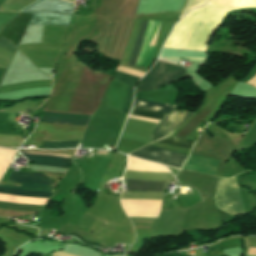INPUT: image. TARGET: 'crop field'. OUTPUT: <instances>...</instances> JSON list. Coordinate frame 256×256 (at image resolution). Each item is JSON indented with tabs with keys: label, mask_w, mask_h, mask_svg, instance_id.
<instances>
[{
	"label": "crop field",
	"mask_w": 256,
	"mask_h": 256,
	"mask_svg": "<svg viewBox=\"0 0 256 256\" xmlns=\"http://www.w3.org/2000/svg\"><path fill=\"white\" fill-rule=\"evenodd\" d=\"M229 9L216 5L189 12L174 27L164 48L206 51L207 43Z\"/></svg>",
	"instance_id": "8a807250"
},
{
	"label": "crop field",
	"mask_w": 256,
	"mask_h": 256,
	"mask_svg": "<svg viewBox=\"0 0 256 256\" xmlns=\"http://www.w3.org/2000/svg\"><path fill=\"white\" fill-rule=\"evenodd\" d=\"M9 181L18 182V183H21V185L20 187H15V186H7V185L0 184V188H8V189H16V190H24V191H32V192H40V193H48V194H52L55 188L51 180L48 179L45 174L11 172L9 176ZM0 193L45 198V199H49L51 196L47 194H39V193H31V192H23V191H15V190H7V189H0ZM0 200L19 202V203L39 204V205H45L47 202V200H44V199H36V198H28V197H20V196H12V195H4V194H0ZM2 201H0V208H3V209L40 212L43 208V206L2 202Z\"/></svg>",
	"instance_id": "ac0d7876"
},
{
	"label": "crop field",
	"mask_w": 256,
	"mask_h": 256,
	"mask_svg": "<svg viewBox=\"0 0 256 256\" xmlns=\"http://www.w3.org/2000/svg\"><path fill=\"white\" fill-rule=\"evenodd\" d=\"M189 77L179 64L157 60L153 68L140 80L136 92L161 89L167 84Z\"/></svg>",
	"instance_id": "34b2d1b8"
},
{
	"label": "crop field",
	"mask_w": 256,
	"mask_h": 256,
	"mask_svg": "<svg viewBox=\"0 0 256 256\" xmlns=\"http://www.w3.org/2000/svg\"><path fill=\"white\" fill-rule=\"evenodd\" d=\"M127 170L170 172L159 164L128 156ZM129 190L164 192L169 181L125 178Z\"/></svg>",
	"instance_id": "412701ff"
},
{
	"label": "crop field",
	"mask_w": 256,
	"mask_h": 256,
	"mask_svg": "<svg viewBox=\"0 0 256 256\" xmlns=\"http://www.w3.org/2000/svg\"><path fill=\"white\" fill-rule=\"evenodd\" d=\"M135 157L155 161L164 165L180 169L184 164L187 155L175 153L161 148L146 145L145 147L131 153Z\"/></svg>",
	"instance_id": "f4fd0767"
},
{
	"label": "crop field",
	"mask_w": 256,
	"mask_h": 256,
	"mask_svg": "<svg viewBox=\"0 0 256 256\" xmlns=\"http://www.w3.org/2000/svg\"><path fill=\"white\" fill-rule=\"evenodd\" d=\"M133 107L150 110V111H155V112H160V113H165V114H169L175 108L174 106L163 105V104L142 101V100H137V99H135ZM135 108L132 109V112L130 115L147 118V119H152V120H157V121H160L164 117L167 116L165 114H160V113H155V112H150V111H145V110H140V109H135ZM132 116H129L128 118L158 124L157 121H152V120H147V119H142V118H137V117H132Z\"/></svg>",
	"instance_id": "dd49c442"
},
{
	"label": "crop field",
	"mask_w": 256,
	"mask_h": 256,
	"mask_svg": "<svg viewBox=\"0 0 256 256\" xmlns=\"http://www.w3.org/2000/svg\"><path fill=\"white\" fill-rule=\"evenodd\" d=\"M162 198L121 196L125 212L159 213Z\"/></svg>",
	"instance_id": "e52e79f7"
},
{
	"label": "crop field",
	"mask_w": 256,
	"mask_h": 256,
	"mask_svg": "<svg viewBox=\"0 0 256 256\" xmlns=\"http://www.w3.org/2000/svg\"><path fill=\"white\" fill-rule=\"evenodd\" d=\"M191 113L186 110H174L155 128L152 134V142L172 134L178 126H180L190 115H192Z\"/></svg>",
	"instance_id": "d8731c3e"
},
{
	"label": "crop field",
	"mask_w": 256,
	"mask_h": 256,
	"mask_svg": "<svg viewBox=\"0 0 256 256\" xmlns=\"http://www.w3.org/2000/svg\"><path fill=\"white\" fill-rule=\"evenodd\" d=\"M21 154L26 155H47V156H57V157H65L72 159L73 155L69 154H60V153H50V152H40V151H27L20 150ZM28 160L34 162V165H50L60 168H68L71 160L57 157H46V156H26Z\"/></svg>",
	"instance_id": "5a996713"
},
{
	"label": "crop field",
	"mask_w": 256,
	"mask_h": 256,
	"mask_svg": "<svg viewBox=\"0 0 256 256\" xmlns=\"http://www.w3.org/2000/svg\"><path fill=\"white\" fill-rule=\"evenodd\" d=\"M34 14L30 24L69 26L72 16L50 11L32 12Z\"/></svg>",
	"instance_id": "3316defc"
},
{
	"label": "crop field",
	"mask_w": 256,
	"mask_h": 256,
	"mask_svg": "<svg viewBox=\"0 0 256 256\" xmlns=\"http://www.w3.org/2000/svg\"><path fill=\"white\" fill-rule=\"evenodd\" d=\"M62 1V0H61ZM58 0H39L31 6L25 8L21 12H32L36 10H50L56 12H62L67 14H73V4L65 3L66 1L73 2V0H66L61 2ZM74 3V2H73Z\"/></svg>",
	"instance_id": "28ad6ade"
},
{
	"label": "crop field",
	"mask_w": 256,
	"mask_h": 256,
	"mask_svg": "<svg viewBox=\"0 0 256 256\" xmlns=\"http://www.w3.org/2000/svg\"><path fill=\"white\" fill-rule=\"evenodd\" d=\"M117 71L129 73V74L140 76V77H142L145 74L143 72L136 71V70H133V69H130V68H127V67L120 66V65H119ZM117 71L115 72L114 77H116V78H118V79H120V80L129 84V86L127 87V95H126V98H125V102H124L123 108L121 110V111L126 113L127 110H128V107L130 105L131 99H132L133 85L138 79H140V77L128 75V74L117 72Z\"/></svg>",
	"instance_id": "d1516ede"
},
{
	"label": "crop field",
	"mask_w": 256,
	"mask_h": 256,
	"mask_svg": "<svg viewBox=\"0 0 256 256\" xmlns=\"http://www.w3.org/2000/svg\"><path fill=\"white\" fill-rule=\"evenodd\" d=\"M219 160L190 155L182 169L195 170L207 174H215Z\"/></svg>",
	"instance_id": "22f410ed"
},
{
	"label": "crop field",
	"mask_w": 256,
	"mask_h": 256,
	"mask_svg": "<svg viewBox=\"0 0 256 256\" xmlns=\"http://www.w3.org/2000/svg\"><path fill=\"white\" fill-rule=\"evenodd\" d=\"M89 117L90 116H86V115L58 114V113L44 112L41 121L86 126Z\"/></svg>",
	"instance_id": "cbeb9de0"
},
{
	"label": "crop field",
	"mask_w": 256,
	"mask_h": 256,
	"mask_svg": "<svg viewBox=\"0 0 256 256\" xmlns=\"http://www.w3.org/2000/svg\"><path fill=\"white\" fill-rule=\"evenodd\" d=\"M158 143H163V144L174 145V146H179V147L192 149L195 142L185 140V139H181V138H177V137H173V136H169V137L159 141Z\"/></svg>",
	"instance_id": "5142ce71"
},
{
	"label": "crop field",
	"mask_w": 256,
	"mask_h": 256,
	"mask_svg": "<svg viewBox=\"0 0 256 256\" xmlns=\"http://www.w3.org/2000/svg\"><path fill=\"white\" fill-rule=\"evenodd\" d=\"M79 140L76 141H46L42 143V147L47 148H68L76 147Z\"/></svg>",
	"instance_id": "d9b57169"
},
{
	"label": "crop field",
	"mask_w": 256,
	"mask_h": 256,
	"mask_svg": "<svg viewBox=\"0 0 256 256\" xmlns=\"http://www.w3.org/2000/svg\"><path fill=\"white\" fill-rule=\"evenodd\" d=\"M207 0H187L186 5L184 7L183 12L181 13L179 19L184 16L189 10L201 6L203 4H205Z\"/></svg>",
	"instance_id": "733c2abd"
},
{
	"label": "crop field",
	"mask_w": 256,
	"mask_h": 256,
	"mask_svg": "<svg viewBox=\"0 0 256 256\" xmlns=\"http://www.w3.org/2000/svg\"><path fill=\"white\" fill-rule=\"evenodd\" d=\"M147 22H148V21H144V25H143L142 30H141V32H140V35H139V37H138L136 49H135V52H134V54H133V57H132L131 63H130V64H132V65H133L134 62H135V59H136V56H137V53H138V50H139V47H140V44H141L143 35H144V33H145V30H146Z\"/></svg>",
	"instance_id": "4a817a6b"
},
{
	"label": "crop field",
	"mask_w": 256,
	"mask_h": 256,
	"mask_svg": "<svg viewBox=\"0 0 256 256\" xmlns=\"http://www.w3.org/2000/svg\"><path fill=\"white\" fill-rule=\"evenodd\" d=\"M4 70H5V68L0 67V79H1V76H2V74H3V72H4Z\"/></svg>",
	"instance_id": "bc2a9ffb"
},
{
	"label": "crop field",
	"mask_w": 256,
	"mask_h": 256,
	"mask_svg": "<svg viewBox=\"0 0 256 256\" xmlns=\"http://www.w3.org/2000/svg\"><path fill=\"white\" fill-rule=\"evenodd\" d=\"M99 152L108 153L107 151H99ZM95 154H101V153H95ZM103 155H108V154H103Z\"/></svg>",
	"instance_id": "214f88e0"
},
{
	"label": "crop field",
	"mask_w": 256,
	"mask_h": 256,
	"mask_svg": "<svg viewBox=\"0 0 256 256\" xmlns=\"http://www.w3.org/2000/svg\"><path fill=\"white\" fill-rule=\"evenodd\" d=\"M255 75H256V74H255ZM255 75H253V76H255ZM253 76H252V77H253ZM252 77H251V78H252ZM251 78H250V79H251ZM250 79H249V80H250ZM247 81H248V80H247ZM247 81H246V82H247Z\"/></svg>",
	"instance_id": "92a150f3"
}]
</instances>
